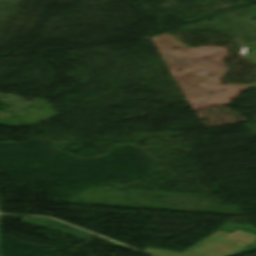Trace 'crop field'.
<instances>
[{"instance_id":"8a807250","label":"crop field","mask_w":256,"mask_h":256,"mask_svg":"<svg viewBox=\"0 0 256 256\" xmlns=\"http://www.w3.org/2000/svg\"><path fill=\"white\" fill-rule=\"evenodd\" d=\"M255 240L256 234L239 229L232 234L218 231L183 253L149 248L145 252L155 256H231Z\"/></svg>"},{"instance_id":"ac0d7876","label":"crop field","mask_w":256,"mask_h":256,"mask_svg":"<svg viewBox=\"0 0 256 256\" xmlns=\"http://www.w3.org/2000/svg\"><path fill=\"white\" fill-rule=\"evenodd\" d=\"M0 256H1V246H0Z\"/></svg>"}]
</instances>
